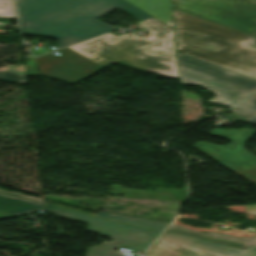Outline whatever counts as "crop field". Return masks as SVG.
<instances>
[{
	"instance_id": "obj_13",
	"label": "crop field",
	"mask_w": 256,
	"mask_h": 256,
	"mask_svg": "<svg viewBox=\"0 0 256 256\" xmlns=\"http://www.w3.org/2000/svg\"><path fill=\"white\" fill-rule=\"evenodd\" d=\"M95 216L110 219V220H115V221H121V222L142 226L150 229H155L159 231H162L165 228V226L168 224L167 222L125 216V215L108 213V212H101Z\"/></svg>"
},
{
	"instance_id": "obj_9",
	"label": "crop field",
	"mask_w": 256,
	"mask_h": 256,
	"mask_svg": "<svg viewBox=\"0 0 256 256\" xmlns=\"http://www.w3.org/2000/svg\"><path fill=\"white\" fill-rule=\"evenodd\" d=\"M20 21L26 22L94 0H17Z\"/></svg>"
},
{
	"instance_id": "obj_2",
	"label": "crop field",
	"mask_w": 256,
	"mask_h": 256,
	"mask_svg": "<svg viewBox=\"0 0 256 256\" xmlns=\"http://www.w3.org/2000/svg\"><path fill=\"white\" fill-rule=\"evenodd\" d=\"M177 52L256 79L255 37L172 9Z\"/></svg>"
},
{
	"instance_id": "obj_14",
	"label": "crop field",
	"mask_w": 256,
	"mask_h": 256,
	"mask_svg": "<svg viewBox=\"0 0 256 256\" xmlns=\"http://www.w3.org/2000/svg\"><path fill=\"white\" fill-rule=\"evenodd\" d=\"M0 81L26 85L24 65L0 68Z\"/></svg>"
},
{
	"instance_id": "obj_11",
	"label": "crop field",
	"mask_w": 256,
	"mask_h": 256,
	"mask_svg": "<svg viewBox=\"0 0 256 256\" xmlns=\"http://www.w3.org/2000/svg\"><path fill=\"white\" fill-rule=\"evenodd\" d=\"M173 28L170 0H127Z\"/></svg>"
},
{
	"instance_id": "obj_18",
	"label": "crop field",
	"mask_w": 256,
	"mask_h": 256,
	"mask_svg": "<svg viewBox=\"0 0 256 256\" xmlns=\"http://www.w3.org/2000/svg\"><path fill=\"white\" fill-rule=\"evenodd\" d=\"M248 213L256 214V205L245 206Z\"/></svg>"
},
{
	"instance_id": "obj_4",
	"label": "crop field",
	"mask_w": 256,
	"mask_h": 256,
	"mask_svg": "<svg viewBox=\"0 0 256 256\" xmlns=\"http://www.w3.org/2000/svg\"><path fill=\"white\" fill-rule=\"evenodd\" d=\"M180 83L213 91L211 102L235 106L256 90V80L177 53Z\"/></svg>"
},
{
	"instance_id": "obj_12",
	"label": "crop field",
	"mask_w": 256,
	"mask_h": 256,
	"mask_svg": "<svg viewBox=\"0 0 256 256\" xmlns=\"http://www.w3.org/2000/svg\"><path fill=\"white\" fill-rule=\"evenodd\" d=\"M41 208L42 206L39 203L0 194V210L2 211L21 215Z\"/></svg>"
},
{
	"instance_id": "obj_5",
	"label": "crop field",
	"mask_w": 256,
	"mask_h": 256,
	"mask_svg": "<svg viewBox=\"0 0 256 256\" xmlns=\"http://www.w3.org/2000/svg\"><path fill=\"white\" fill-rule=\"evenodd\" d=\"M45 207L47 211L59 216L91 223L87 230L115 239L112 243L104 242L101 246L89 248L87 256H124L114 251L113 248L145 251L160 233L159 231L120 224L46 204Z\"/></svg>"
},
{
	"instance_id": "obj_17",
	"label": "crop field",
	"mask_w": 256,
	"mask_h": 256,
	"mask_svg": "<svg viewBox=\"0 0 256 256\" xmlns=\"http://www.w3.org/2000/svg\"><path fill=\"white\" fill-rule=\"evenodd\" d=\"M0 193H5V194L13 195V196H18V197H22V198H26V199H31V200L42 202L41 199H36V198L28 197V196H23V195L11 193V192L3 191V190H0Z\"/></svg>"
},
{
	"instance_id": "obj_10",
	"label": "crop field",
	"mask_w": 256,
	"mask_h": 256,
	"mask_svg": "<svg viewBox=\"0 0 256 256\" xmlns=\"http://www.w3.org/2000/svg\"><path fill=\"white\" fill-rule=\"evenodd\" d=\"M166 232L184 234V235L201 238V239L221 243V244L236 247V248H242V249H245L251 245H256V235L251 238H243V237L228 236V235H224L216 232L204 234V233L188 230L186 228L180 227L175 224H172L166 230Z\"/></svg>"
},
{
	"instance_id": "obj_8",
	"label": "crop field",
	"mask_w": 256,
	"mask_h": 256,
	"mask_svg": "<svg viewBox=\"0 0 256 256\" xmlns=\"http://www.w3.org/2000/svg\"><path fill=\"white\" fill-rule=\"evenodd\" d=\"M146 254L147 256H256V246L242 251L187 236L163 233Z\"/></svg>"
},
{
	"instance_id": "obj_16",
	"label": "crop field",
	"mask_w": 256,
	"mask_h": 256,
	"mask_svg": "<svg viewBox=\"0 0 256 256\" xmlns=\"http://www.w3.org/2000/svg\"><path fill=\"white\" fill-rule=\"evenodd\" d=\"M0 17L15 18V8L13 0H0Z\"/></svg>"
},
{
	"instance_id": "obj_6",
	"label": "crop field",
	"mask_w": 256,
	"mask_h": 256,
	"mask_svg": "<svg viewBox=\"0 0 256 256\" xmlns=\"http://www.w3.org/2000/svg\"><path fill=\"white\" fill-rule=\"evenodd\" d=\"M172 5L256 36V0H172Z\"/></svg>"
},
{
	"instance_id": "obj_3",
	"label": "crop field",
	"mask_w": 256,
	"mask_h": 256,
	"mask_svg": "<svg viewBox=\"0 0 256 256\" xmlns=\"http://www.w3.org/2000/svg\"><path fill=\"white\" fill-rule=\"evenodd\" d=\"M117 7L140 21L152 18L125 0H97L22 23L23 35L55 37L59 48L118 29L96 20Z\"/></svg>"
},
{
	"instance_id": "obj_1",
	"label": "crop field",
	"mask_w": 256,
	"mask_h": 256,
	"mask_svg": "<svg viewBox=\"0 0 256 256\" xmlns=\"http://www.w3.org/2000/svg\"><path fill=\"white\" fill-rule=\"evenodd\" d=\"M137 24L151 37L110 33L68 48L105 68L116 63L178 78L173 29L155 18Z\"/></svg>"
},
{
	"instance_id": "obj_15",
	"label": "crop field",
	"mask_w": 256,
	"mask_h": 256,
	"mask_svg": "<svg viewBox=\"0 0 256 256\" xmlns=\"http://www.w3.org/2000/svg\"><path fill=\"white\" fill-rule=\"evenodd\" d=\"M235 109L240 110L235 114L236 116L248 119L245 122L256 123V93Z\"/></svg>"
},
{
	"instance_id": "obj_7",
	"label": "crop field",
	"mask_w": 256,
	"mask_h": 256,
	"mask_svg": "<svg viewBox=\"0 0 256 256\" xmlns=\"http://www.w3.org/2000/svg\"><path fill=\"white\" fill-rule=\"evenodd\" d=\"M255 133L256 130L251 129L224 130L216 128L210 134L232 140L227 147L205 142H197L192 146L256 184V156L244 149V144Z\"/></svg>"
}]
</instances>
